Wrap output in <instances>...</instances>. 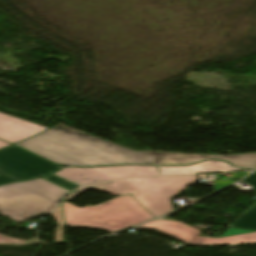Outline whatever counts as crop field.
Here are the masks:
<instances>
[{"label": "crop field", "mask_w": 256, "mask_h": 256, "mask_svg": "<svg viewBox=\"0 0 256 256\" xmlns=\"http://www.w3.org/2000/svg\"><path fill=\"white\" fill-rule=\"evenodd\" d=\"M16 145L61 165L70 166L181 165L196 163L204 159H220L251 170L256 167V153L203 155L137 152L60 125Z\"/></svg>", "instance_id": "8a807250"}, {"label": "crop field", "mask_w": 256, "mask_h": 256, "mask_svg": "<svg viewBox=\"0 0 256 256\" xmlns=\"http://www.w3.org/2000/svg\"><path fill=\"white\" fill-rule=\"evenodd\" d=\"M196 181V175L118 180L85 185L65 200H71L89 188L115 196L131 194L149 213L159 217L173 211L170 199Z\"/></svg>", "instance_id": "ac0d7876"}, {"label": "crop field", "mask_w": 256, "mask_h": 256, "mask_svg": "<svg viewBox=\"0 0 256 256\" xmlns=\"http://www.w3.org/2000/svg\"><path fill=\"white\" fill-rule=\"evenodd\" d=\"M66 226L115 231L155 219L131 195L119 196L95 207L62 203Z\"/></svg>", "instance_id": "34b2d1b8"}, {"label": "crop field", "mask_w": 256, "mask_h": 256, "mask_svg": "<svg viewBox=\"0 0 256 256\" xmlns=\"http://www.w3.org/2000/svg\"><path fill=\"white\" fill-rule=\"evenodd\" d=\"M70 191L42 178L0 187V214L17 222L48 214Z\"/></svg>", "instance_id": "412701ff"}, {"label": "crop field", "mask_w": 256, "mask_h": 256, "mask_svg": "<svg viewBox=\"0 0 256 256\" xmlns=\"http://www.w3.org/2000/svg\"><path fill=\"white\" fill-rule=\"evenodd\" d=\"M60 168L14 145L0 150V184L45 176Z\"/></svg>", "instance_id": "f4fd0767"}, {"label": "crop field", "mask_w": 256, "mask_h": 256, "mask_svg": "<svg viewBox=\"0 0 256 256\" xmlns=\"http://www.w3.org/2000/svg\"><path fill=\"white\" fill-rule=\"evenodd\" d=\"M135 229H154L170 235L186 244L194 245H223L234 243L256 242V231L230 228L218 239L201 238V232L189 225L157 220L143 224ZM230 230L232 232H230Z\"/></svg>", "instance_id": "dd49c442"}, {"label": "crop field", "mask_w": 256, "mask_h": 256, "mask_svg": "<svg viewBox=\"0 0 256 256\" xmlns=\"http://www.w3.org/2000/svg\"><path fill=\"white\" fill-rule=\"evenodd\" d=\"M79 186L134 176H160L155 166H111L100 168L65 167L54 173Z\"/></svg>", "instance_id": "e52e79f7"}, {"label": "crop field", "mask_w": 256, "mask_h": 256, "mask_svg": "<svg viewBox=\"0 0 256 256\" xmlns=\"http://www.w3.org/2000/svg\"><path fill=\"white\" fill-rule=\"evenodd\" d=\"M48 128L0 113V138L14 144Z\"/></svg>", "instance_id": "d8731c3e"}, {"label": "crop field", "mask_w": 256, "mask_h": 256, "mask_svg": "<svg viewBox=\"0 0 256 256\" xmlns=\"http://www.w3.org/2000/svg\"><path fill=\"white\" fill-rule=\"evenodd\" d=\"M158 168L162 175L244 170L216 160H207L192 166H166Z\"/></svg>", "instance_id": "5a996713"}, {"label": "crop field", "mask_w": 256, "mask_h": 256, "mask_svg": "<svg viewBox=\"0 0 256 256\" xmlns=\"http://www.w3.org/2000/svg\"><path fill=\"white\" fill-rule=\"evenodd\" d=\"M243 182L256 189V172L246 178ZM229 227L256 230V205L229 225Z\"/></svg>", "instance_id": "3316defc"}, {"label": "crop field", "mask_w": 256, "mask_h": 256, "mask_svg": "<svg viewBox=\"0 0 256 256\" xmlns=\"http://www.w3.org/2000/svg\"><path fill=\"white\" fill-rule=\"evenodd\" d=\"M51 215L58 224L55 228V242H64L63 240L64 222H63L61 205L57 207Z\"/></svg>", "instance_id": "28ad6ade"}, {"label": "crop field", "mask_w": 256, "mask_h": 256, "mask_svg": "<svg viewBox=\"0 0 256 256\" xmlns=\"http://www.w3.org/2000/svg\"><path fill=\"white\" fill-rule=\"evenodd\" d=\"M42 178H44V179H46V180H48L50 182H53V183H55V184H57L59 186H62V187L66 188V189H68L70 191H72V190H74V189H76L78 187V186H76L74 184H71L69 182H66V181H64V180H62V179H60V178H58V177H56L54 175H49V176H45V177H42Z\"/></svg>", "instance_id": "d1516ede"}, {"label": "crop field", "mask_w": 256, "mask_h": 256, "mask_svg": "<svg viewBox=\"0 0 256 256\" xmlns=\"http://www.w3.org/2000/svg\"><path fill=\"white\" fill-rule=\"evenodd\" d=\"M25 241L0 235V244H22Z\"/></svg>", "instance_id": "22f410ed"}, {"label": "crop field", "mask_w": 256, "mask_h": 256, "mask_svg": "<svg viewBox=\"0 0 256 256\" xmlns=\"http://www.w3.org/2000/svg\"><path fill=\"white\" fill-rule=\"evenodd\" d=\"M234 182H232L231 180H227V181H222V180H218V181H214V190L217 191L223 187H226L230 184H232Z\"/></svg>", "instance_id": "cbeb9de0"}, {"label": "crop field", "mask_w": 256, "mask_h": 256, "mask_svg": "<svg viewBox=\"0 0 256 256\" xmlns=\"http://www.w3.org/2000/svg\"><path fill=\"white\" fill-rule=\"evenodd\" d=\"M8 145H11V144L3 142V141L0 140V148L6 147Z\"/></svg>", "instance_id": "5142ce71"}, {"label": "crop field", "mask_w": 256, "mask_h": 256, "mask_svg": "<svg viewBox=\"0 0 256 256\" xmlns=\"http://www.w3.org/2000/svg\"><path fill=\"white\" fill-rule=\"evenodd\" d=\"M248 174V172H242V173H238V177L239 179L246 176Z\"/></svg>", "instance_id": "d9b57169"}]
</instances>
